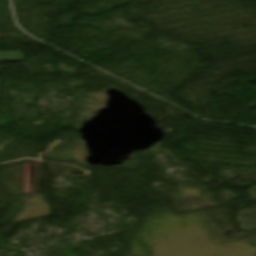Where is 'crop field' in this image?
Instances as JSON below:
<instances>
[{
	"mask_svg": "<svg viewBox=\"0 0 256 256\" xmlns=\"http://www.w3.org/2000/svg\"><path fill=\"white\" fill-rule=\"evenodd\" d=\"M24 61L22 52H2L0 62Z\"/></svg>",
	"mask_w": 256,
	"mask_h": 256,
	"instance_id": "8a807250",
	"label": "crop field"
}]
</instances>
